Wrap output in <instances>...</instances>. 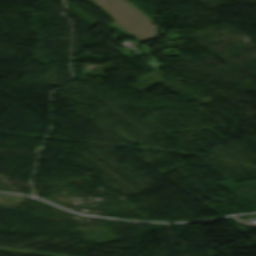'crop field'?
Instances as JSON below:
<instances>
[{"mask_svg": "<svg viewBox=\"0 0 256 256\" xmlns=\"http://www.w3.org/2000/svg\"><path fill=\"white\" fill-rule=\"evenodd\" d=\"M116 22L114 28L126 32L143 42L155 37L158 28L144 13L126 0H90Z\"/></svg>", "mask_w": 256, "mask_h": 256, "instance_id": "8a807250", "label": "crop field"}, {"mask_svg": "<svg viewBox=\"0 0 256 256\" xmlns=\"http://www.w3.org/2000/svg\"><path fill=\"white\" fill-rule=\"evenodd\" d=\"M152 61L144 63L145 65H147L148 67L156 70L159 69L161 66L158 64V62L154 59L153 56L150 57Z\"/></svg>", "mask_w": 256, "mask_h": 256, "instance_id": "ac0d7876", "label": "crop field"}]
</instances>
